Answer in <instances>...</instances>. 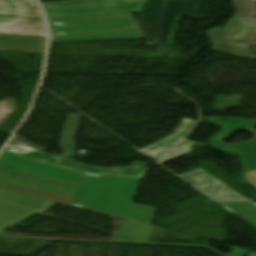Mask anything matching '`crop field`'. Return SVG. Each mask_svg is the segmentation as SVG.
<instances>
[{
  "mask_svg": "<svg viewBox=\"0 0 256 256\" xmlns=\"http://www.w3.org/2000/svg\"><path fill=\"white\" fill-rule=\"evenodd\" d=\"M243 171L256 169V154L240 156Z\"/></svg>",
  "mask_w": 256,
  "mask_h": 256,
  "instance_id": "crop-field-15",
  "label": "crop field"
},
{
  "mask_svg": "<svg viewBox=\"0 0 256 256\" xmlns=\"http://www.w3.org/2000/svg\"><path fill=\"white\" fill-rule=\"evenodd\" d=\"M198 124V121L184 119L172 135L141 151L161 164L186 155L195 144L187 139Z\"/></svg>",
  "mask_w": 256,
  "mask_h": 256,
  "instance_id": "crop-field-3",
  "label": "crop field"
},
{
  "mask_svg": "<svg viewBox=\"0 0 256 256\" xmlns=\"http://www.w3.org/2000/svg\"><path fill=\"white\" fill-rule=\"evenodd\" d=\"M237 15H256V0H233Z\"/></svg>",
  "mask_w": 256,
  "mask_h": 256,
  "instance_id": "crop-field-14",
  "label": "crop field"
},
{
  "mask_svg": "<svg viewBox=\"0 0 256 256\" xmlns=\"http://www.w3.org/2000/svg\"><path fill=\"white\" fill-rule=\"evenodd\" d=\"M220 40H256V17H234L224 26Z\"/></svg>",
  "mask_w": 256,
  "mask_h": 256,
  "instance_id": "crop-field-9",
  "label": "crop field"
},
{
  "mask_svg": "<svg viewBox=\"0 0 256 256\" xmlns=\"http://www.w3.org/2000/svg\"><path fill=\"white\" fill-rule=\"evenodd\" d=\"M243 178L256 188V170L243 172Z\"/></svg>",
  "mask_w": 256,
  "mask_h": 256,
  "instance_id": "crop-field-17",
  "label": "crop field"
},
{
  "mask_svg": "<svg viewBox=\"0 0 256 256\" xmlns=\"http://www.w3.org/2000/svg\"><path fill=\"white\" fill-rule=\"evenodd\" d=\"M163 3L164 0H145L139 13L137 25L148 45H157Z\"/></svg>",
  "mask_w": 256,
  "mask_h": 256,
  "instance_id": "crop-field-6",
  "label": "crop field"
},
{
  "mask_svg": "<svg viewBox=\"0 0 256 256\" xmlns=\"http://www.w3.org/2000/svg\"><path fill=\"white\" fill-rule=\"evenodd\" d=\"M180 176L215 199H244L202 169Z\"/></svg>",
  "mask_w": 256,
  "mask_h": 256,
  "instance_id": "crop-field-7",
  "label": "crop field"
},
{
  "mask_svg": "<svg viewBox=\"0 0 256 256\" xmlns=\"http://www.w3.org/2000/svg\"><path fill=\"white\" fill-rule=\"evenodd\" d=\"M46 37L0 34V49L44 53Z\"/></svg>",
  "mask_w": 256,
  "mask_h": 256,
  "instance_id": "crop-field-10",
  "label": "crop field"
},
{
  "mask_svg": "<svg viewBox=\"0 0 256 256\" xmlns=\"http://www.w3.org/2000/svg\"><path fill=\"white\" fill-rule=\"evenodd\" d=\"M206 249L218 254L219 256H245L246 254L251 252L250 250L241 249V248H237V247H231L229 249H231L233 251L226 255H223L220 252L216 251L215 249L211 248L210 246H208Z\"/></svg>",
  "mask_w": 256,
  "mask_h": 256,
  "instance_id": "crop-field-16",
  "label": "crop field"
},
{
  "mask_svg": "<svg viewBox=\"0 0 256 256\" xmlns=\"http://www.w3.org/2000/svg\"><path fill=\"white\" fill-rule=\"evenodd\" d=\"M220 32L221 29H209L206 32L208 38L213 43L212 50L256 60V55L247 50L249 45L234 41H219Z\"/></svg>",
  "mask_w": 256,
  "mask_h": 256,
  "instance_id": "crop-field-11",
  "label": "crop field"
},
{
  "mask_svg": "<svg viewBox=\"0 0 256 256\" xmlns=\"http://www.w3.org/2000/svg\"><path fill=\"white\" fill-rule=\"evenodd\" d=\"M143 2L72 0L41 4L47 16L138 13Z\"/></svg>",
  "mask_w": 256,
  "mask_h": 256,
  "instance_id": "crop-field-2",
  "label": "crop field"
},
{
  "mask_svg": "<svg viewBox=\"0 0 256 256\" xmlns=\"http://www.w3.org/2000/svg\"><path fill=\"white\" fill-rule=\"evenodd\" d=\"M0 31L45 33L40 15L0 13Z\"/></svg>",
  "mask_w": 256,
  "mask_h": 256,
  "instance_id": "crop-field-8",
  "label": "crop field"
},
{
  "mask_svg": "<svg viewBox=\"0 0 256 256\" xmlns=\"http://www.w3.org/2000/svg\"><path fill=\"white\" fill-rule=\"evenodd\" d=\"M47 19L50 27V42H64V41H54V39H68V38H96V37H124V36L139 37V38H125V39H142L143 38L131 14L47 17ZM119 19H129V21L55 25V23H65V22H83V21H101V20H119ZM123 25H134V27L53 31V29H63V28H83V27H103V26H123ZM122 30H136V32L56 35V33L122 31ZM97 40H124V39H97ZM69 41H94V40H69Z\"/></svg>",
  "mask_w": 256,
  "mask_h": 256,
  "instance_id": "crop-field-1",
  "label": "crop field"
},
{
  "mask_svg": "<svg viewBox=\"0 0 256 256\" xmlns=\"http://www.w3.org/2000/svg\"><path fill=\"white\" fill-rule=\"evenodd\" d=\"M213 123H217L223 127L220 134L210 140V144L225 152L236 154L256 152V131L253 129L256 126V119H239V118H222L210 117L206 118ZM237 130H245L252 133L254 138L251 141L239 144H223L221 139L230 135Z\"/></svg>",
  "mask_w": 256,
  "mask_h": 256,
  "instance_id": "crop-field-5",
  "label": "crop field"
},
{
  "mask_svg": "<svg viewBox=\"0 0 256 256\" xmlns=\"http://www.w3.org/2000/svg\"><path fill=\"white\" fill-rule=\"evenodd\" d=\"M125 1H144V0H125Z\"/></svg>",
  "mask_w": 256,
  "mask_h": 256,
  "instance_id": "crop-field-18",
  "label": "crop field"
},
{
  "mask_svg": "<svg viewBox=\"0 0 256 256\" xmlns=\"http://www.w3.org/2000/svg\"><path fill=\"white\" fill-rule=\"evenodd\" d=\"M0 12L40 14L33 0H0Z\"/></svg>",
  "mask_w": 256,
  "mask_h": 256,
  "instance_id": "crop-field-13",
  "label": "crop field"
},
{
  "mask_svg": "<svg viewBox=\"0 0 256 256\" xmlns=\"http://www.w3.org/2000/svg\"><path fill=\"white\" fill-rule=\"evenodd\" d=\"M208 0H187V2L165 1L158 45H172L180 16H205Z\"/></svg>",
  "mask_w": 256,
  "mask_h": 256,
  "instance_id": "crop-field-4",
  "label": "crop field"
},
{
  "mask_svg": "<svg viewBox=\"0 0 256 256\" xmlns=\"http://www.w3.org/2000/svg\"><path fill=\"white\" fill-rule=\"evenodd\" d=\"M256 227V204L252 201L218 203Z\"/></svg>",
  "mask_w": 256,
  "mask_h": 256,
  "instance_id": "crop-field-12",
  "label": "crop field"
}]
</instances>
